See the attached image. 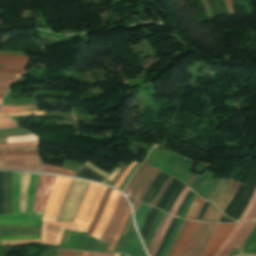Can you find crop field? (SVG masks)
<instances>
[{
  "mask_svg": "<svg viewBox=\"0 0 256 256\" xmlns=\"http://www.w3.org/2000/svg\"><path fill=\"white\" fill-rule=\"evenodd\" d=\"M72 179L58 177L52 189L43 220H56L57 213L61 207L65 193Z\"/></svg>",
  "mask_w": 256,
  "mask_h": 256,
  "instance_id": "crop-field-3",
  "label": "crop field"
},
{
  "mask_svg": "<svg viewBox=\"0 0 256 256\" xmlns=\"http://www.w3.org/2000/svg\"><path fill=\"white\" fill-rule=\"evenodd\" d=\"M0 102H1V99H0Z\"/></svg>",
  "mask_w": 256,
  "mask_h": 256,
  "instance_id": "crop-field-62",
  "label": "crop field"
},
{
  "mask_svg": "<svg viewBox=\"0 0 256 256\" xmlns=\"http://www.w3.org/2000/svg\"><path fill=\"white\" fill-rule=\"evenodd\" d=\"M37 142H23V143H15V144H5V145H0V148L4 147H23V146H33L36 145Z\"/></svg>",
  "mask_w": 256,
  "mask_h": 256,
  "instance_id": "crop-field-42",
  "label": "crop field"
},
{
  "mask_svg": "<svg viewBox=\"0 0 256 256\" xmlns=\"http://www.w3.org/2000/svg\"><path fill=\"white\" fill-rule=\"evenodd\" d=\"M238 253L256 255V225Z\"/></svg>",
  "mask_w": 256,
  "mask_h": 256,
  "instance_id": "crop-field-18",
  "label": "crop field"
},
{
  "mask_svg": "<svg viewBox=\"0 0 256 256\" xmlns=\"http://www.w3.org/2000/svg\"><path fill=\"white\" fill-rule=\"evenodd\" d=\"M82 224L43 221L40 243L59 245L63 229L81 232Z\"/></svg>",
  "mask_w": 256,
  "mask_h": 256,
  "instance_id": "crop-field-4",
  "label": "crop field"
},
{
  "mask_svg": "<svg viewBox=\"0 0 256 256\" xmlns=\"http://www.w3.org/2000/svg\"><path fill=\"white\" fill-rule=\"evenodd\" d=\"M167 178H168V175H165L160 172V174L157 176V178L155 179L152 186L147 191V193L143 199V202L151 205L155 195L157 194L159 189L162 187V185L166 182Z\"/></svg>",
  "mask_w": 256,
  "mask_h": 256,
  "instance_id": "crop-field-14",
  "label": "crop field"
},
{
  "mask_svg": "<svg viewBox=\"0 0 256 256\" xmlns=\"http://www.w3.org/2000/svg\"><path fill=\"white\" fill-rule=\"evenodd\" d=\"M166 217H167V214H164V216H163V218H162V220H161V222H160V224H159V226H158V228H157V230H156V232L154 234V237H153V239H152V241H151V243H150V245H149V247L147 249L149 253H150V251H151V249H152V247H153V245H154V243H155V241L157 239L159 231H160V229H161V227H162Z\"/></svg>",
  "mask_w": 256,
  "mask_h": 256,
  "instance_id": "crop-field-41",
  "label": "crop field"
},
{
  "mask_svg": "<svg viewBox=\"0 0 256 256\" xmlns=\"http://www.w3.org/2000/svg\"><path fill=\"white\" fill-rule=\"evenodd\" d=\"M0 116H4V115L0 114Z\"/></svg>",
  "mask_w": 256,
  "mask_h": 256,
  "instance_id": "crop-field-61",
  "label": "crop field"
},
{
  "mask_svg": "<svg viewBox=\"0 0 256 256\" xmlns=\"http://www.w3.org/2000/svg\"><path fill=\"white\" fill-rule=\"evenodd\" d=\"M127 205L128 204H127L125 198H123L121 196V198L113 212L112 218L101 237V240L110 244V242L118 228V225L121 221V218L126 210Z\"/></svg>",
  "mask_w": 256,
  "mask_h": 256,
  "instance_id": "crop-field-7",
  "label": "crop field"
},
{
  "mask_svg": "<svg viewBox=\"0 0 256 256\" xmlns=\"http://www.w3.org/2000/svg\"><path fill=\"white\" fill-rule=\"evenodd\" d=\"M121 194H119L118 192L112 190L109 198H108V202L107 205L101 215V218L96 226V228L94 229L92 236L96 237V238H100L101 234L103 233L111 215L112 212L115 208L116 202L118 200V198L120 197Z\"/></svg>",
  "mask_w": 256,
  "mask_h": 256,
  "instance_id": "crop-field-9",
  "label": "crop field"
},
{
  "mask_svg": "<svg viewBox=\"0 0 256 256\" xmlns=\"http://www.w3.org/2000/svg\"><path fill=\"white\" fill-rule=\"evenodd\" d=\"M81 251L73 250V256H80Z\"/></svg>",
  "mask_w": 256,
  "mask_h": 256,
  "instance_id": "crop-field-54",
  "label": "crop field"
},
{
  "mask_svg": "<svg viewBox=\"0 0 256 256\" xmlns=\"http://www.w3.org/2000/svg\"><path fill=\"white\" fill-rule=\"evenodd\" d=\"M255 202H256V190H255V192H254V194H253L245 212L243 213L240 221L246 220V218H247L248 214L250 213L251 209L253 208Z\"/></svg>",
  "mask_w": 256,
  "mask_h": 256,
  "instance_id": "crop-field-39",
  "label": "crop field"
},
{
  "mask_svg": "<svg viewBox=\"0 0 256 256\" xmlns=\"http://www.w3.org/2000/svg\"><path fill=\"white\" fill-rule=\"evenodd\" d=\"M217 224L200 223L183 256H200L211 238Z\"/></svg>",
  "mask_w": 256,
  "mask_h": 256,
  "instance_id": "crop-field-5",
  "label": "crop field"
},
{
  "mask_svg": "<svg viewBox=\"0 0 256 256\" xmlns=\"http://www.w3.org/2000/svg\"><path fill=\"white\" fill-rule=\"evenodd\" d=\"M188 189H189V188L186 186L185 189L182 191V193L180 194V196H179L178 199L176 200V202H175V204H174V206H173V208H172V210H171V212H170L171 214L175 215V213H176V211H177L179 205L181 204V202H182L184 196L186 195Z\"/></svg>",
  "mask_w": 256,
  "mask_h": 256,
  "instance_id": "crop-field-40",
  "label": "crop field"
},
{
  "mask_svg": "<svg viewBox=\"0 0 256 256\" xmlns=\"http://www.w3.org/2000/svg\"><path fill=\"white\" fill-rule=\"evenodd\" d=\"M173 179V177H169L167 182L165 183V185L162 187V189L159 191V193L156 195L153 203H152V206L155 207L156 203L158 202L159 198L161 197V195L163 194L164 190L166 189V187L168 186V184L171 182V180ZM173 181V180H172Z\"/></svg>",
  "mask_w": 256,
  "mask_h": 256,
  "instance_id": "crop-field-43",
  "label": "crop field"
},
{
  "mask_svg": "<svg viewBox=\"0 0 256 256\" xmlns=\"http://www.w3.org/2000/svg\"><path fill=\"white\" fill-rule=\"evenodd\" d=\"M65 250H58L57 256H64Z\"/></svg>",
  "mask_w": 256,
  "mask_h": 256,
  "instance_id": "crop-field-53",
  "label": "crop field"
},
{
  "mask_svg": "<svg viewBox=\"0 0 256 256\" xmlns=\"http://www.w3.org/2000/svg\"><path fill=\"white\" fill-rule=\"evenodd\" d=\"M57 177L48 176L38 211H44L50 191Z\"/></svg>",
  "mask_w": 256,
  "mask_h": 256,
  "instance_id": "crop-field-23",
  "label": "crop field"
},
{
  "mask_svg": "<svg viewBox=\"0 0 256 256\" xmlns=\"http://www.w3.org/2000/svg\"><path fill=\"white\" fill-rule=\"evenodd\" d=\"M24 158H39V157H38V155H35V156H0V159H24ZM0 165H12V166L40 168L41 162H40V159L0 160ZM12 166H0V169L32 171V172H39V170H40V169H35V168H23V167H12Z\"/></svg>",
  "mask_w": 256,
  "mask_h": 256,
  "instance_id": "crop-field-6",
  "label": "crop field"
},
{
  "mask_svg": "<svg viewBox=\"0 0 256 256\" xmlns=\"http://www.w3.org/2000/svg\"><path fill=\"white\" fill-rule=\"evenodd\" d=\"M136 163L135 162H132L128 168L126 169V171L124 172V174L121 176V178L119 179V181L116 183V187H119L120 184L123 182V180L125 179L127 173L130 171V169L135 165Z\"/></svg>",
  "mask_w": 256,
  "mask_h": 256,
  "instance_id": "crop-field-44",
  "label": "crop field"
},
{
  "mask_svg": "<svg viewBox=\"0 0 256 256\" xmlns=\"http://www.w3.org/2000/svg\"><path fill=\"white\" fill-rule=\"evenodd\" d=\"M255 218H256V204H255L253 210L251 211V213L249 214L247 220H249V219H255Z\"/></svg>",
  "mask_w": 256,
  "mask_h": 256,
  "instance_id": "crop-field-49",
  "label": "crop field"
},
{
  "mask_svg": "<svg viewBox=\"0 0 256 256\" xmlns=\"http://www.w3.org/2000/svg\"><path fill=\"white\" fill-rule=\"evenodd\" d=\"M199 223L190 221L172 256H182Z\"/></svg>",
  "mask_w": 256,
  "mask_h": 256,
  "instance_id": "crop-field-11",
  "label": "crop field"
},
{
  "mask_svg": "<svg viewBox=\"0 0 256 256\" xmlns=\"http://www.w3.org/2000/svg\"><path fill=\"white\" fill-rule=\"evenodd\" d=\"M255 224L256 220L244 223L240 231L237 233V235L234 237L231 243L227 246V248L224 250L221 256H226L233 247L240 248Z\"/></svg>",
  "mask_w": 256,
  "mask_h": 256,
  "instance_id": "crop-field-10",
  "label": "crop field"
},
{
  "mask_svg": "<svg viewBox=\"0 0 256 256\" xmlns=\"http://www.w3.org/2000/svg\"><path fill=\"white\" fill-rule=\"evenodd\" d=\"M1 240L5 239H40V236H23V237H0Z\"/></svg>",
  "mask_w": 256,
  "mask_h": 256,
  "instance_id": "crop-field-45",
  "label": "crop field"
},
{
  "mask_svg": "<svg viewBox=\"0 0 256 256\" xmlns=\"http://www.w3.org/2000/svg\"><path fill=\"white\" fill-rule=\"evenodd\" d=\"M171 219H172V216L168 215V217H167V219H166V221L164 223V226H163V228H162V230L160 232L159 238H158V240H157V242H156V244H155V246H154L150 256L154 255V253H155V251H156V249H157V247H158V245H159V243H160V241H161V239H162V237H163V235H164V233H165V231H166V229H167V227H168V225H169V223L171 221Z\"/></svg>",
  "mask_w": 256,
  "mask_h": 256,
  "instance_id": "crop-field-34",
  "label": "crop field"
},
{
  "mask_svg": "<svg viewBox=\"0 0 256 256\" xmlns=\"http://www.w3.org/2000/svg\"><path fill=\"white\" fill-rule=\"evenodd\" d=\"M129 213H130V210H129V206H128V208H127V210H126V212L124 214V217H123V219H122V221H121V223L119 225V228H118V230L116 232L115 238H114V240H113V242L111 244L113 247L115 246V244H116V242H117V240H118V238H119V236H120V234L122 232V229H123V227L125 225V222L127 220V217L129 215Z\"/></svg>",
  "mask_w": 256,
  "mask_h": 256,
  "instance_id": "crop-field-35",
  "label": "crop field"
},
{
  "mask_svg": "<svg viewBox=\"0 0 256 256\" xmlns=\"http://www.w3.org/2000/svg\"><path fill=\"white\" fill-rule=\"evenodd\" d=\"M119 171V168L115 167L114 171L112 172V174L110 175V177L108 178L109 181L111 182V180L114 178V176L116 175V173Z\"/></svg>",
  "mask_w": 256,
  "mask_h": 256,
  "instance_id": "crop-field-51",
  "label": "crop field"
},
{
  "mask_svg": "<svg viewBox=\"0 0 256 256\" xmlns=\"http://www.w3.org/2000/svg\"><path fill=\"white\" fill-rule=\"evenodd\" d=\"M163 213H164V212L160 211L159 214H158V216H157V218H156V220H155L154 226H153V228H152V230H151L150 234L148 235V237H147V239H146V242H145L146 248L148 247V245H149V243H150V241H151V239H152V237H153V234H154V232H155V229H156V227H157V225H158V223H159V221H160V219H161Z\"/></svg>",
  "mask_w": 256,
  "mask_h": 256,
  "instance_id": "crop-field-38",
  "label": "crop field"
},
{
  "mask_svg": "<svg viewBox=\"0 0 256 256\" xmlns=\"http://www.w3.org/2000/svg\"><path fill=\"white\" fill-rule=\"evenodd\" d=\"M23 141H37V138L33 135L0 138V144L23 142Z\"/></svg>",
  "mask_w": 256,
  "mask_h": 256,
  "instance_id": "crop-field-30",
  "label": "crop field"
},
{
  "mask_svg": "<svg viewBox=\"0 0 256 256\" xmlns=\"http://www.w3.org/2000/svg\"><path fill=\"white\" fill-rule=\"evenodd\" d=\"M120 256H126V255H124V254H121Z\"/></svg>",
  "mask_w": 256,
  "mask_h": 256,
  "instance_id": "crop-field-59",
  "label": "crop field"
},
{
  "mask_svg": "<svg viewBox=\"0 0 256 256\" xmlns=\"http://www.w3.org/2000/svg\"><path fill=\"white\" fill-rule=\"evenodd\" d=\"M105 190L106 187L104 186L94 183L90 184L77 214V217L74 221L77 223L85 224L82 231L87 232Z\"/></svg>",
  "mask_w": 256,
  "mask_h": 256,
  "instance_id": "crop-field-2",
  "label": "crop field"
},
{
  "mask_svg": "<svg viewBox=\"0 0 256 256\" xmlns=\"http://www.w3.org/2000/svg\"><path fill=\"white\" fill-rule=\"evenodd\" d=\"M23 149H37V147H24V148H4L0 151H15ZM38 154L37 150H24V151H15V152H0V155H35Z\"/></svg>",
  "mask_w": 256,
  "mask_h": 256,
  "instance_id": "crop-field-25",
  "label": "crop field"
},
{
  "mask_svg": "<svg viewBox=\"0 0 256 256\" xmlns=\"http://www.w3.org/2000/svg\"><path fill=\"white\" fill-rule=\"evenodd\" d=\"M1 112V111H0Z\"/></svg>",
  "mask_w": 256,
  "mask_h": 256,
  "instance_id": "crop-field-63",
  "label": "crop field"
},
{
  "mask_svg": "<svg viewBox=\"0 0 256 256\" xmlns=\"http://www.w3.org/2000/svg\"><path fill=\"white\" fill-rule=\"evenodd\" d=\"M31 174L22 173L21 186H20V213L25 212L27 189L29 185Z\"/></svg>",
  "mask_w": 256,
  "mask_h": 256,
  "instance_id": "crop-field-19",
  "label": "crop field"
},
{
  "mask_svg": "<svg viewBox=\"0 0 256 256\" xmlns=\"http://www.w3.org/2000/svg\"><path fill=\"white\" fill-rule=\"evenodd\" d=\"M21 173L13 172L12 176V210L13 213H19V186Z\"/></svg>",
  "mask_w": 256,
  "mask_h": 256,
  "instance_id": "crop-field-16",
  "label": "crop field"
},
{
  "mask_svg": "<svg viewBox=\"0 0 256 256\" xmlns=\"http://www.w3.org/2000/svg\"><path fill=\"white\" fill-rule=\"evenodd\" d=\"M110 192H111V189L107 188V190H106V192H105V194H104V197H103V199H102V202H101V204H100L99 210L97 211L96 216H95V219H94V221H93V223H92L90 229L88 230L87 234L91 235V233H92V231H93L95 225L97 224V222H98V220H99V217H100L101 212H102V210H103V208H104V206H105V204H106L107 197H108V195L110 194Z\"/></svg>",
  "mask_w": 256,
  "mask_h": 256,
  "instance_id": "crop-field-29",
  "label": "crop field"
},
{
  "mask_svg": "<svg viewBox=\"0 0 256 256\" xmlns=\"http://www.w3.org/2000/svg\"><path fill=\"white\" fill-rule=\"evenodd\" d=\"M39 175L32 174L31 180H30V185L28 189V204H27V212L31 211L32 209V203H33V198H34V192L37 184Z\"/></svg>",
  "mask_w": 256,
  "mask_h": 256,
  "instance_id": "crop-field-28",
  "label": "crop field"
},
{
  "mask_svg": "<svg viewBox=\"0 0 256 256\" xmlns=\"http://www.w3.org/2000/svg\"><path fill=\"white\" fill-rule=\"evenodd\" d=\"M41 172L73 176L74 172L63 168L44 165Z\"/></svg>",
  "mask_w": 256,
  "mask_h": 256,
  "instance_id": "crop-field-31",
  "label": "crop field"
},
{
  "mask_svg": "<svg viewBox=\"0 0 256 256\" xmlns=\"http://www.w3.org/2000/svg\"><path fill=\"white\" fill-rule=\"evenodd\" d=\"M28 60L29 57L0 55V65L2 67L24 68Z\"/></svg>",
  "mask_w": 256,
  "mask_h": 256,
  "instance_id": "crop-field-15",
  "label": "crop field"
},
{
  "mask_svg": "<svg viewBox=\"0 0 256 256\" xmlns=\"http://www.w3.org/2000/svg\"><path fill=\"white\" fill-rule=\"evenodd\" d=\"M88 254H89L88 252H84V251H83L82 254H81V256H88Z\"/></svg>",
  "mask_w": 256,
  "mask_h": 256,
  "instance_id": "crop-field-56",
  "label": "crop field"
},
{
  "mask_svg": "<svg viewBox=\"0 0 256 256\" xmlns=\"http://www.w3.org/2000/svg\"><path fill=\"white\" fill-rule=\"evenodd\" d=\"M84 165H86L87 167H89L90 169H92L93 171L105 176V177H108V174L98 170L94 165H92L90 162H86Z\"/></svg>",
  "mask_w": 256,
  "mask_h": 256,
  "instance_id": "crop-field-46",
  "label": "crop field"
},
{
  "mask_svg": "<svg viewBox=\"0 0 256 256\" xmlns=\"http://www.w3.org/2000/svg\"><path fill=\"white\" fill-rule=\"evenodd\" d=\"M65 256H71V251L66 250Z\"/></svg>",
  "mask_w": 256,
  "mask_h": 256,
  "instance_id": "crop-field-55",
  "label": "crop field"
},
{
  "mask_svg": "<svg viewBox=\"0 0 256 256\" xmlns=\"http://www.w3.org/2000/svg\"><path fill=\"white\" fill-rule=\"evenodd\" d=\"M232 183H233V180L231 179L230 180V183L226 189L225 192H223L222 196L219 198V200L216 202V206L219 210H221L223 212L224 208L226 207V205L229 203V201L231 200L234 192L236 191V189L238 188L239 186V183H235L234 186H233V189L229 195V197L225 196V195H228L229 192H230V189H231V186H232Z\"/></svg>",
  "mask_w": 256,
  "mask_h": 256,
  "instance_id": "crop-field-20",
  "label": "crop field"
},
{
  "mask_svg": "<svg viewBox=\"0 0 256 256\" xmlns=\"http://www.w3.org/2000/svg\"><path fill=\"white\" fill-rule=\"evenodd\" d=\"M151 166H149L147 163H143L139 169L136 171V173L133 175L132 179L130 180L129 184L125 188L123 193L131 195V193L134 191V189L139 185V183L143 180L147 172L149 171Z\"/></svg>",
  "mask_w": 256,
  "mask_h": 256,
  "instance_id": "crop-field-13",
  "label": "crop field"
},
{
  "mask_svg": "<svg viewBox=\"0 0 256 256\" xmlns=\"http://www.w3.org/2000/svg\"><path fill=\"white\" fill-rule=\"evenodd\" d=\"M2 72H16V73H21L22 70H13V69H0Z\"/></svg>",
  "mask_w": 256,
  "mask_h": 256,
  "instance_id": "crop-field-52",
  "label": "crop field"
},
{
  "mask_svg": "<svg viewBox=\"0 0 256 256\" xmlns=\"http://www.w3.org/2000/svg\"><path fill=\"white\" fill-rule=\"evenodd\" d=\"M187 223H188V221L184 220V222H183V224H182V226H181V228H180V230H179V232H178V234H177V236H176V238L174 240V243H173V245H172V247H171V249H170V251H169L167 256H171V254H172L174 248L176 247V245H177V243H178V241H179V239H180V237H181V235H182V233H183Z\"/></svg>",
  "mask_w": 256,
  "mask_h": 256,
  "instance_id": "crop-field-37",
  "label": "crop field"
},
{
  "mask_svg": "<svg viewBox=\"0 0 256 256\" xmlns=\"http://www.w3.org/2000/svg\"><path fill=\"white\" fill-rule=\"evenodd\" d=\"M233 224H218L204 254L202 256H214L215 252L227 238L234 227Z\"/></svg>",
  "mask_w": 256,
  "mask_h": 256,
  "instance_id": "crop-field-8",
  "label": "crop field"
},
{
  "mask_svg": "<svg viewBox=\"0 0 256 256\" xmlns=\"http://www.w3.org/2000/svg\"><path fill=\"white\" fill-rule=\"evenodd\" d=\"M3 246H15V245H30L39 243V240H13V241H1Z\"/></svg>",
  "mask_w": 256,
  "mask_h": 256,
  "instance_id": "crop-field-32",
  "label": "crop field"
},
{
  "mask_svg": "<svg viewBox=\"0 0 256 256\" xmlns=\"http://www.w3.org/2000/svg\"><path fill=\"white\" fill-rule=\"evenodd\" d=\"M113 249H114V248H112V247H109V250H110V251H113Z\"/></svg>",
  "mask_w": 256,
  "mask_h": 256,
  "instance_id": "crop-field-57",
  "label": "crop field"
},
{
  "mask_svg": "<svg viewBox=\"0 0 256 256\" xmlns=\"http://www.w3.org/2000/svg\"><path fill=\"white\" fill-rule=\"evenodd\" d=\"M89 183L73 179L56 221L73 222Z\"/></svg>",
  "mask_w": 256,
  "mask_h": 256,
  "instance_id": "crop-field-1",
  "label": "crop field"
},
{
  "mask_svg": "<svg viewBox=\"0 0 256 256\" xmlns=\"http://www.w3.org/2000/svg\"><path fill=\"white\" fill-rule=\"evenodd\" d=\"M18 127L11 119L8 117L0 118V128H14ZM30 134L21 128L14 129H0V137L15 136V135H26Z\"/></svg>",
  "mask_w": 256,
  "mask_h": 256,
  "instance_id": "crop-field-12",
  "label": "crop field"
},
{
  "mask_svg": "<svg viewBox=\"0 0 256 256\" xmlns=\"http://www.w3.org/2000/svg\"><path fill=\"white\" fill-rule=\"evenodd\" d=\"M221 213L210 203L201 221L218 222Z\"/></svg>",
  "mask_w": 256,
  "mask_h": 256,
  "instance_id": "crop-field-26",
  "label": "crop field"
},
{
  "mask_svg": "<svg viewBox=\"0 0 256 256\" xmlns=\"http://www.w3.org/2000/svg\"><path fill=\"white\" fill-rule=\"evenodd\" d=\"M19 74L14 73H0V94L5 93L8 87L16 82Z\"/></svg>",
  "mask_w": 256,
  "mask_h": 256,
  "instance_id": "crop-field-21",
  "label": "crop field"
},
{
  "mask_svg": "<svg viewBox=\"0 0 256 256\" xmlns=\"http://www.w3.org/2000/svg\"><path fill=\"white\" fill-rule=\"evenodd\" d=\"M44 212H29L23 214L0 215V219H37L42 220Z\"/></svg>",
  "mask_w": 256,
  "mask_h": 256,
  "instance_id": "crop-field-22",
  "label": "crop field"
},
{
  "mask_svg": "<svg viewBox=\"0 0 256 256\" xmlns=\"http://www.w3.org/2000/svg\"><path fill=\"white\" fill-rule=\"evenodd\" d=\"M160 171L156 170L155 168L152 167V169L150 170V172L148 173V175L146 176V178L144 179V181L141 183V185L136 189V191L133 194V197L136 198L137 194L139 193L140 190L141 193L138 196L137 199L142 200L146 190L148 189V187L151 185V183L153 182V180L155 179V177L158 175ZM132 196V195H131Z\"/></svg>",
  "mask_w": 256,
  "mask_h": 256,
  "instance_id": "crop-field-17",
  "label": "crop field"
},
{
  "mask_svg": "<svg viewBox=\"0 0 256 256\" xmlns=\"http://www.w3.org/2000/svg\"><path fill=\"white\" fill-rule=\"evenodd\" d=\"M42 221H36V220H1V224H18V223H32L35 225H41Z\"/></svg>",
  "mask_w": 256,
  "mask_h": 256,
  "instance_id": "crop-field-36",
  "label": "crop field"
},
{
  "mask_svg": "<svg viewBox=\"0 0 256 256\" xmlns=\"http://www.w3.org/2000/svg\"><path fill=\"white\" fill-rule=\"evenodd\" d=\"M2 111L3 112L38 111V107H37V104L2 106Z\"/></svg>",
  "mask_w": 256,
  "mask_h": 256,
  "instance_id": "crop-field-24",
  "label": "crop field"
},
{
  "mask_svg": "<svg viewBox=\"0 0 256 256\" xmlns=\"http://www.w3.org/2000/svg\"><path fill=\"white\" fill-rule=\"evenodd\" d=\"M227 7H228V10H229V13L230 14H235V10H234V6L232 4V0H224Z\"/></svg>",
  "mask_w": 256,
  "mask_h": 256,
  "instance_id": "crop-field-47",
  "label": "crop field"
},
{
  "mask_svg": "<svg viewBox=\"0 0 256 256\" xmlns=\"http://www.w3.org/2000/svg\"><path fill=\"white\" fill-rule=\"evenodd\" d=\"M46 177L47 176H43V175H40V177H39L32 211H37L38 210V206H39L41 194H42V191H43V188H44V184H45V181H46Z\"/></svg>",
  "mask_w": 256,
  "mask_h": 256,
  "instance_id": "crop-field-27",
  "label": "crop field"
},
{
  "mask_svg": "<svg viewBox=\"0 0 256 256\" xmlns=\"http://www.w3.org/2000/svg\"><path fill=\"white\" fill-rule=\"evenodd\" d=\"M243 225V223H237V225L235 226V228L233 229L231 235L228 237V239L223 243V245L220 247L219 251L217 252V254L215 256H220V254L223 252L224 248L227 246V244L232 240V238L236 235V233L238 232V230L241 228V226Z\"/></svg>",
  "mask_w": 256,
  "mask_h": 256,
  "instance_id": "crop-field-33",
  "label": "crop field"
},
{
  "mask_svg": "<svg viewBox=\"0 0 256 256\" xmlns=\"http://www.w3.org/2000/svg\"><path fill=\"white\" fill-rule=\"evenodd\" d=\"M114 254H106V253H91L90 256H113Z\"/></svg>",
  "mask_w": 256,
  "mask_h": 256,
  "instance_id": "crop-field-50",
  "label": "crop field"
},
{
  "mask_svg": "<svg viewBox=\"0 0 256 256\" xmlns=\"http://www.w3.org/2000/svg\"><path fill=\"white\" fill-rule=\"evenodd\" d=\"M114 256H119V254H115Z\"/></svg>",
  "mask_w": 256,
  "mask_h": 256,
  "instance_id": "crop-field-60",
  "label": "crop field"
},
{
  "mask_svg": "<svg viewBox=\"0 0 256 256\" xmlns=\"http://www.w3.org/2000/svg\"><path fill=\"white\" fill-rule=\"evenodd\" d=\"M46 112H27V113H5L8 116H14V115H25V114H45Z\"/></svg>",
  "mask_w": 256,
  "mask_h": 256,
  "instance_id": "crop-field-48",
  "label": "crop field"
},
{
  "mask_svg": "<svg viewBox=\"0 0 256 256\" xmlns=\"http://www.w3.org/2000/svg\"><path fill=\"white\" fill-rule=\"evenodd\" d=\"M3 95H4V94L0 95V98H2V97H3Z\"/></svg>",
  "mask_w": 256,
  "mask_h": 256,
  "instance_id": "crop-field-58",
  "label": "crop field"
}]
</instances>
